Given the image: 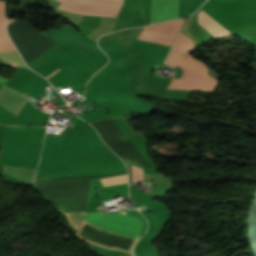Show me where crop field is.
Returning <instances> with one entry per match:
<instances>
[{
    "mask_svg": "<svg viewBox=\"0 0 256 256\" xmlns=\"http://www.w3.org/2000/svg\"><path fill=\"white\" fill-rule=\"evenodd\" d=\"M83 221L91 225H94L102 230L112 232L121 236L129 237L132 239H136V240L138 239V236L144 227L143 221H135V220L119 217V216H113L107 213L106 211H97V212L87 213ZM96 227H93V228L101 232L111 234V233L102 231ZM115 234H111V235L118 237V235H115ZM121 236L120 238L128 239ZM132 239H128V240L136 242V240H132Z\"/></svg>",
    "mask_w": 256,
    "mask_h": 256,
    "instance_id": "obj_1",
    "label": "crop field"
},
{
    "mask_svg": "<svg viewBox=\"0 0 256 256\" xmlns=\"http://www.w3.org/2000/svg\"><path fill=\"white\" fill-rule=\"evenodd\" d=\"M80 55L81 53L57 42L27 64L47 78L67 66Z\"/></svg>",
    "mask_w": 256,
    "mask_h": 256,
    "instance_id": "obj_2",
    "label": "crop field"
},
{
    "mask_svg": "<svg viewBox=\"0 0 256 256\" xmlns=\"http://www.w3.org/2000/svg\"><path fill=\"white\" fill-rule=\"evenodd\" d=\"M184 19L165 22L146 27L147 30H153L163 33H169L176 35ZM144 30L142 35L139 37L140 40L155 42L159 44L171 46L175 37L174 35H168L158 32H152Z\"/></svg>",
    "mask_w": 256,
    "mask_h": 256,
    "instance_id": "obj_3",
    "label": "crop field"
},
{
    "mask_svg": "<svg viewBox=\"0 0 256 256\" xmlns=\"http://www.w3.org/2000/svg\"><path fill=\"white\" fill-rule=\"evenodd\" d=\"M179 0H152L150 24L176 19L178 14Z\"/></svg>",
    "mask_w": 256,
    "mask_h": 256,
    "instance_id": "obj_4",
    "label": "crop field"
},
{
    "mask_svg": "<svg viewBox=\"0 0 256 256\" xmlns=\"http://www.w3.org/2000/svg\"><path fill=\"white\" fill-rule=\"evenodd\" d=\"M165 63L180 67L184 73L207 74L206 66L189 55H169Z\"/></svg>",
    "mask_w": 256,
    "mask_h": 256,
    "instance_id": "obj_5",
    "label": "crop field"
},
{
    "mask_svg": "<svg viewBox=\"0 0 256 256\" xmlns=\"http://www.w3.org/2000/svg\"><path fill=\"white\" fill-rule=\"evenodd\" d=\"M25 102L26 101L21 96L1 87V89H0V106L4 107L12 114L17 116L19 111L24 106Z\"/></svg>",
    "mask_w": 256,
    "mask_h": 256,
    "instance_id": "obj_6",
    "label": "crop field"
},
{
    "mask_svg": "<svg viewBox=\"0 0 256 256\" xmlns=\"http://www.w3.org/2000/svg\"><path fill=\"white\" fill-rule=\"evenodd\" d=\"M198 24H200L217 38L234 35L227 29H225L222 25H220L217 21H215L211 16L205 13L203 10L198 13Z\"/></svg>",
    "mask_w": 256,
    "mask_h": 256,
    "instance_id": "obj_7",
    "label": "crop field"
},
{
    "mask_svg": "<svg viewBox=\"0 0 256 256\" xmlns=\"http://www.w3.org/2000/svg\"><path fill=\"white\" fill-rule=\"evenodd\" d=\"M36 169L4 165V173L33 184Z\"/></svg>",
    "mask_w": 256,
    "mask_h": 256,
    "instance_id": "obj_8",
    "label": "crop field"
},
{
    "mask_svg": "<svg viewBox=\"0 0 256 256\" xmlns=\"http://www.w3.org/2000/svg\"><path fill=\"white\" fill-rule=\"evenodd\" d=\"M113 1L121 2L122 0H113ZM59 9L69 13L86 15V16H98V17H110V18H115L117 16V13H114V12L81 9L74 6L67 5L61 1H60Z\"/></svg>",
    "mask_w": 256,
    "mask_h": 256,
    "instance_id": "obj_9",
    "label": "crop field"
},
{
    "mask_svg": "<svg viewBox=\"0 0 256 256\" xmlns=\"http://www.w3.org/2000/svg\"><path fill=\"white\" fill-rule=\"evenodd\" d=\"M0 35L10 50L15 49V47L10 42L7 33L5 31V0L0 1ZM0 37V51L9 50L8 47L5 45L3 40Z\"/></svg>",
    "mask_w": 256,
    "mask_h": 256,
    "instance_id": "obj_10",
    "label": "crop field"
},
{
    "mask_svg": "<svg viewBox=\"0 0 256 256\" xmlns=\"http://www.w3.org/2000/svg\"><path fill=\"white\" fill-rule=\"evenodd\" d=\"M192 48L193 42L180 33L170 53H189Z\"/></svg>",
    "mask_w": 256,
    "mask_h": 256,
    "instance_id": "obj_11",
    "label": "crop field"
},
{
    "mask_svg": "<svg viewBox=\"0 0 256 256\" xmlns=\"http://www.w3.org/2000/svg\"><path fill=\"white\" fill-rule=\"evenodd\" d=\"M0 59L4 65L13 66H26L20 58L16 50L0 53ZM27 67V66H26Z\"/></svg>",
    "mask_w": 256,
    "mask_h": 256,
    "instance_id": "obj_12",
    "label": "crop field"
},
{
    "mask_svg": "<svg viewBox=\"0 0 256 256\" xmlns=\"http://www.w3.org/2000/svg\"><path fill=\"white\" fill-rule=\"evenodd\" d=\"M103 186L121 184L127 182V175L115 176L107 179H100Z\"/></svg>",
    "mask_w": 256,
    "mask_h": 256,
    "instance_id": "obj_13",
    "label": "crop field"
},
{
    "mask_svg": "<svg viewBox=\"0 0 256 256\" xmlns=\"http://www.w3.org/2000/svg\"><path fill=\"white\" fill-rule=\"evenodd\" d=\"M67 221L69 222L72 230L74 232H76L77 228L79 227V225L81 224L83 218L80 217H73V216H67L65 215Z\"/></svg>",
    "mask_w": 256,
    "mask_h": 256,
    "instance_id": "obj_14",
    "label": "crop field"
},
{
    "mask_svg": "<svg viewBox=\"0 0 256 256\" xmlns=\"http://www.w3.org/2000/svg\"><path fill=\"white\" fill-rule=\"evenodd\" d=\"M131 168L132 181L143 180L142 169L129 165Z\"/></svg>",
    "mask_w": 256,
    "mask_h": 256,
    "instance_id": "obj_15",
    "label": "crop field"
},
{
    "mask_svg": "<svg viewBox=\"0 0 256 256\" xmlns=\"http://www.w3.org/2000/svg\"><path fill=\"white\" fill-rule=\"evenodd\" d=\"M0 66H1V63H0ZM7 81L8 79L0 77V82L3 83L4 85L6 84Z\"/></svg>",
    "mask_w": 256,
    "mask_h": 256,
    "instance_id": "obj_16",
    "label": "crop field"
}]
</instances>
